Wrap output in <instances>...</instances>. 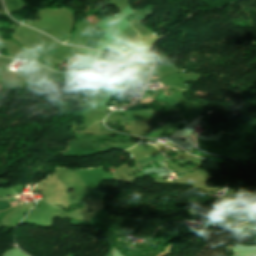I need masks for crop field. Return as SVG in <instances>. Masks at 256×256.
Returning a JSON list of instances; mask_svg holds the SVG:
<instances>
[{
	"instance_id": "4",
	"label": "crop field",
	"mask_w": 256,
	"mask_h": 256,
	"mask_svg": "<svg viewBox=\"0 0 256 256\" xmlns=\"http://www.w3.org/2000/svg\"><path fill=\"white\" fill-rule=\"evenodd\" d=\"M107 32H105L104 30H102L100 27H98L97 25L94 27V30L89 38V40L87 41V43L85 44V46L94 48L96 47V45L98 44L99 40L106 34Z\"/></svg>"
},
{
	"instance_id": "1",
	"label": "crop field",
	"mask_w": 256,
	"mask_h": 256,
	"mask_svg": "<svg viewBox=\"0 0 256 256\" xmlns=\"http://www.w3.org/2000/svg\"><path fill=\"white\" fill-rule=\"evenodd\" d=\"M151 161H153V162L165 161V157L163 155H154V156L145 157V158H142V159L138 160L136 162V165L139 169H141V168L145 167L147 164H149ZM159 163L161 164V166L163 168L156 169L155 166L152 165L153 168L145 169L144 171H142V173L144 175L157 173V175H160V176H165V175H168V174L172 173L171 171H169L165 168L163 162H159Z\"/></svg>"
},
{
	"instance_id": "10",
	"label": "crop field",
	"mask_w": 256,
	"mask_h": 256,
	"mask_svg": "<svg viewBox=\"0 0 256 256\" xmlns=\"http://www.w3.org/2000/svg\"><path fill=\"white\" fill-rule=\"evenodd\" d=\"M254 217H256V214H255V215H252V216H250V217H248V218H245V219H243V220L230 223L229 225L232 226V225H234V224H236V223H240V222H243V221H245V220L252 219V218H254Z\"/></svg>"
},
{
	"instance_id": "11",
	"label": "crop field",
	"mask_w": 256,
	"mask_h": 256,
	"mask_svg": "<svg viewBox=\"0 0 256 256\" xmlns=\"http://www.w3.org/2000/svg\"><path fill=\"white\" fill-rule=\"evenodd\" d=\"M80 61H81V57H77L71 60V62H74V63H80Z\"/></svg>"
},
{
	"instance_id": "7",
	"label": "crop field",
	"mask_w": 256,
	"mask_h": 256,
	"mask_svg": "<svg viewBox=\"0 0 256 256\" xmlns=\"http://www.w3.org/2000/svg\"><path fill=\"white\" fill-rule=\"evenodd\" d=\"M129 68V65H124L121 73H120V76L117 80V83H126V76H127V70Z\"/></svg>"
},
{
	"instance_id": "9",
	"label": "crop field",
	"mask_w": 256,
	"mask_h": 256,
	"mask_svg": "<svg viewBox=\"0 0 256 256\" xmlns=\"http://www.w3.org/2000/svg\"><path fill=\"white\" fill-rule=\"evenodd\" d=\"M229 216L214 222L215 225H227Z\"/></svg>"
},
{
	"instance_id": "2",
	"label": "crop field",
	"mask_w": 256,
	"mask_h": 256,
	"mask_svg": "<svg viewBox=\"0 0 256 256\" xmlns=\"http://www.w3.org/2000/svg\"><path fill=\"white\" fill-rule=\"evenodd\" d=\"M126 115L127 119H122L123 123L132 122V121H140V120H147L160 117L157 113H153L152 110H145V111H120Z\"/></svg>"
},
{
	"instance_id": "13",
	"label": "crop field",
	"mask_w": 256,
	"mask_h": 256,
	"mask_svg": "<svg viewBox=\"0 0 256 256\" xmlns=\"http://www.w3.org/2000/svg\"><path fill=\"white\" fill-rule=\"evenodd\" d=\"M60 63H63V62H60ZM60 63H57V64H60Z\"/></svg>"
},
{
	"instance_id": "15",
	"label": "crop field",
	"mask_w": 256,
	"mask_h": 256,
	"mask_svg": "<svg viewBox=\"0 0 256 256\" xmlns=\"http://www.w3.org/2000/svg\"><path fill=\"white\" fill-rule=\"evenodd\" d=\"M191 138H192V136H191ZM193 139V138H192Z\"/></svg>"
},
{
	"instance_id": "8",
	"label": "crop field",
	"mask_w": 256,
	"mask_h": 256,
	"mask_svg": "<svg viewBox=\"0 0 256 256\" xmlns=\"http://www.w3.org/2000/svg\"><path fill=\"white\" fill-rule=\"evenodd\" d=\"M255 225H256V219H253V220H249L248 222L240 224V225H237V226L253 227Z\"/></svg>"
},
{
	"instance_id": "12",
	"label": "crop field",
	"mask_w": 256,
	"mask_h": 256,
	"mask_svg": "<svg viewBox=\"0 0 256 256\" xmlns=\"http://www.w3.org/2000/svg\"><path fill=\"white\" fill-rule=\"evenodd\" d=\"M155 79H159L158 77H153V79L152 80H155Z\"/></svg>"
},
{
	"instance_id": "5",
	"label": "crop field",
	"mask_w": 256,
	"mask_h": 256,
	"mask_svg": "<svg viewBox=\"0 0 256 256\" xmlns=\"http://www.w3.org/2000/svg\"><path fill=\"white\" fill-rule=\"evenodd\" d=\"M115 62H116V59L103 58L100 69H102L108 73H111Z\"/></svg>"
},
{
	"instance_id": "14",
	"label": "crop field",
	"mask_w": 256,
	"mask_h": 256,
	"mask_svg": "<svg viewBox=\"0 0 256 256\" xmlns=\"http://www.w3.org/2000/svg\"><path fill=\"white\" fill-rule=\"evenodd\" d=\"M10 203H14V202H10Z\"/></svg>"
},
{
	"instance_id": "3",
	"label": "crop field",
	"mask_w": 256,
	"mask_h": 256,
	"mask_svg": "<svg viewBox=\"0 0 256 256\" xmlns=\"http://www.w3.org/2000/svg\"><path fill=\"white\" fill-rule=\"evenodd\" d=\"M77 134V133H76ZM140 138L135 137H106V136H86L82 134H77L75 140H109L113 143H126V144H137Z\"/></svg>"
},
{
	"instance_id": "6",
	"label": "crop field",
	"mask_w": 256,
	"mask_h": 256,
	"mask_svg": "<svg viewBox=\"0 0 256 256\" xmlns=\"http://www.w3.org/2000/svg\"><path fill=\"white\" fill-rule=\"evenodd\" d=\"M149 102H155L153 98L151 97H148L142 101H140L139 104H143V103H149ZM143 109H152L149 104H144V105H136V106H133L131 108H129L128 110H143Z\"/></svg>"
}]
</instances>
